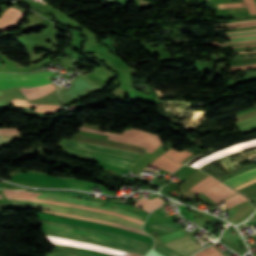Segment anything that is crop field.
I'll return each mask as SVG.
<instances>
[{
  "label": "crop field",
  "instance_id": "crop-field-16",
  "mask_svg": "<svg viewBox=\"0 0 256 256\" xmlns=\"http://www.w3.org/2000/svg\"><path fill=\"white\" fill-rule=\"evenodd\" d=\"M162 203H163V200L158 197L152 200H148L142 197L138 202L134 204V206L142 207L143 210L152 212L156 208H158L160 205H162Z\"/></svg>",
  "mask_w": 256,
  "mask_h": 256
},
{
  "label": "crop field",
  "instance_id": "crop-field-26",
  "mask_svg": "<svg viewBox=\"0 0 256 256\" xmlns=\"http://www.w3.org/2000/svg\"><path fill=\"white\" fill-rule=\"evenodd\" d=\"M2 141H8V140H21V135H1Z\"/></svg>",
  "mask_w": 256,
  "mask_h": 256
},
{
  "label": "crop field",
  "instance_id": "crop-field-17",
  "mask_svg": "<svg viewBox=\"0 0 256 256\" xmlns=\"http://www.w3.org/2000/svg\"><path fill=\"white\" fill-rule=\"evenodd\" d=\"M235 124L239 129L233 131L244 133L246 131L256 129V117L238 121L235 122Z\"/></svg>",
  "mask_w": 256,
  "mask_h": 256
},
{
  "label": "crop field",
  "instance_id": "crop-field-40",
  "mask_svg": "<svg viewBox=\"0 0 256 256\" xmlns=\"http://www.w3.org/2000/svg\"><path fill=\"white\" fill-rule=\"evenodd\" d=\"M256 39V38H253ZM243 40H250V39H243ZM233 41H241V40H233ZM232 42V41H224L223 43Z\"/></svg>",
  "mask_w": 256,
  "mask_h": 256
},
{
  "label": "crop field",
  "instance_id": "crop-field-42",
  "mask_svg": "<svg viewBox=\"0 0 256 256\" xmlns=\"http://www.w3.org/2000/svg\"><path fill=\"white\" fill-rule=\"evenodd\" d=\"M244 46H256V45H244ZM235 47H243V46H233L231 48H235Z\"/></svg>",
  "mask_w": 256,
  "mask_h": 256
},
{
  "label": "crop field",
  "instance_id": "crop-field-11",
  "mask_svg": "<svg viewBox=\"0 0 256 256\" xmlns=\"http://www.w3.org/2000/svg\"><path fill=\"white\" fill-rule=\"evenodd\" d=\"M64 151L69 156L75 157V158L88 159V160H92V161L108 163V164L122 166V167H126V168H129L132 165V163H130V162H125V161H121V160H117V159H113V158L102 157V156L87 154V153L73 152V151H69V150H65V149H64Z\"/></svg>",
  "mask_w": 256,
  "mask_h": 256
},
{
  "label": "crop field",
  "instance_id": "crop-field-2",
  "mask_svg": "<svg viewBox=\"0 0 256 256\" xmlns=\"http://www.w3.org/2000/svg\"><path fill=\"white\" fill-rule=\"evenodd\" d=\"M53 73H0V89L20 88L22 86L41 87L51 84L49 76ZM56 89L51 84L41 88L22 87L20 90L28 99H36Z\"/></svg>",
  "mask_w": 256,
  "mask_h": 256
},
{
  "label": "crop field",
  "instance_id": "crop-field-13",
  "mask_svg": "<svg viewBox=\"0 0 256 256\" xmlns=\"http://www.w3.org/2000/svg\"><path fill=\"white\" fill-rule=\"evenodd\" d=\"M202 192L205 193L207 196H209L211 199H213L217 203L222 199L237 193L229 189L228 187H226L220 182L212 185L211 187L207 188Z\"/></svg>",
  "mask_w": 256,
  "mask_h": 256
},
{
  "label": "crop field",
  "instance_id": "crop-field-30",
  "mask_svg": "<svg viewBox=\"0 0 256 256\" xmlns=\"http://www.w3.org/2000/svg\"><path fill=\"white\" fill-rule=\"evenodd\" d=\"M54 55H55V53H54L53 55H51V56L45 58L44 60L33 64V66L37 67V66H39V65H41V64H43V63H45V62H47L48 60H50V58L54 57Z\"/></svg>",
  "mask_w": 256,
  "mask_h": 256
},
{
  "label": "crop field",
  "instance_id": "crop-field-32",
  "mask_svg": "<svg viewBox=\"0 0 256 256\" xmlns=\"http://www.w3.org/2000/svg\"><path fill=\"white\" fill-rule=\"evenodd\" d=\"M47 256H75V255H71V254H49L46 253Z\"/></svg>",
  "mask_w": 256,
  "mask_h": 256
},
{
  "label": "crop field",
  "instance_id": "crop-field-15",
  "mask_svg": "<svg viewBox=\"0 0 256 256\" xmlns=\"http://www.w3.org/2000/svg\"><path fill=\"white\" fill-rule=\"evenodd\" d=\"M43 211L50 212V213H53V214H59V215L67 216V217H72V218H78V219H85V220H90V221L101 222V223H105V224L121 227V228L130 230V231H134V232H138V233H141V234H145V232H143V231L136 230V229H133V228H130V227L118 224V223L110 222V221H104V220H100V219H92V218L81 217V216H77V215H71V214H67V213L54 212V211H48V210H43ZM145 235H147V234H145Z\"/></svg>",
  "mask_w": 256,
  "mask_h": 256
},
{
  "label": "crop field",
  "instance_id": "crop-field-24",
  "mask_svg": "<svg viewBox=\"0 0 256 256\" xmlns=\"http://www.w3.org/2000/svg\"><path fill=\"white\" fill-rule=\"evenodd\" d=\"M196 256H223L220 252H218L216 249L213 247L197 254Z\"/></svg>",
  "mask_w": 256,
  "mask_h": 256
},
{
  "label": "crop field",
  "instance_id": "crop-field-6",
  "mask_svg": "<svg viewBox=\"0 0 256 256\" xmlns=\"http://www.w3.org/2000/svg\"><path fill=\"white\" fill-rule=\"evenodd\" d=\"M61 144H65V145H69V146H73V147H81V148L98 151V152H103V153H110L112 155L127 157V158H131L133 160H137L139 157L142 156V154L124 150V149L88 144V143L68 140L65 138H63Z\"/></svg>",
  "mask_w": 256,
  "mask_h": 256
},
{
  "label": "crop field",
  "instance_id": "crop-field-48",
  "mask_svg": "<svg viewBox=\"0 0 256 256\" xmlns=\"http://www.w3.org/2000/svg\"><path fill=\"white\" fill-rule=\"evenodd\" d=\"M0 147H1V143H0Z\"/></svg>",
  "mask_w": 256,
  "mask_h": 256
},
{
  "label": "crop field",
  "instance_id": "crop-field-34",
  "mask_svg": "<svg viewBox=\"0 0 256 256\" xmlns=\"http://www.w3.org/2000/svg\"><path fill=\"white\" fill-rule=\"evenodd\" d=\"M253 26H256V24L255 25H245V26L229 27V28H243V27H253ZM229 28H220V29H229Z\"/></svg>",
  "mask_w": 256,
  "mask_h": 256
},
{
  "label": "crop field",
  "instance_id": "crop-field-12",
  "mask_svg": "<svg viewBox=\"0 0 256 256\" xmlns=\"http://www.w3.org/2000/svg\"><path fill=\"white\" fill-rule=\"evenodd\" d=\"M165 245L179 251L184 256H189L195 250L201 248L193 241V239L190 236L178 239Z\"/></svg>",
  "mask_w": 256,
  "mask_h": 256
},
{
  "label": "crop field",
  "instance_id": "crop-field-20",
  "mask_svg": "<svg viewBox=\"0 0 256 256\" xmlns=\"http://www.w3.org/2000/svg\"><path fill=\"white\" fill-rule=\"evenodd\" d=\"M149 227L157 229L159 231H162L164 233H167L169 231L175 230L179 228L180 226L171 224V223H166V224H154V225H149Z\"/></svg>",
  "mask_w": 256,
  "mask_h": 256
},
{
  "label": "crop field",
  "instance_id": "crop-field-3",
  "mask_svg": "<svg viewBox=\"0 0 256 256\" xmlns=\"http://www.w3.org/2000/svg\"><path fill=\"white\" fill-rule=\"evenodd\" d=\"M9 202L12 204V206L37 207V208H43V209H49V210H55V211L74 213V214H79V215H83V216H87V217H94V218L110 220V221L118 222V223L130 226V227L142 230L141 224L123 219L121 217H115V216H111V215L86 211V210H82V209H78V208H70V207L45 204V203H37V202H31V201L9 200Z\"/></svg>",
  "mask_w": 256,
  "mask_h": 256
},
{
  "label": "crop field",
  "instance_id": "crop-field-46",
  "mask_svg": "<svg viewBox=\"0 0 256 256\" xmlns=\"http://www.w3.org/2000/svg\"><path fill=\"white\" fill-rule=\"evenodd\" d=\"M0 199H3V197L0 195Z\"/></svg>",
  "mask_w": 256,
  "mask_h": 256
},
{
  "label": "crop field",
  "instance_id": "crop-field-41",
  "mask_svg": "<svg viewBox=\"0 0 256 256\" xmlns=\"http://www.w3.org/2000/svg\"><path fill=\"white\" fill-rule=\"evenodd\" d=\"M250 54H256V53H250ZM237 55H248V54H234V55H230V57L237 56Z\"/></svg>",
  "mask_w": 256,
  "mask_h": 256
},
{
  "label": "crop field",
  "instance_id": "crop-field-1",
  "mask_svg": "<svg viewBox=\"0 0 256 256\" xmlns=\"http://www.w3.org/2000/svg\"><path fill=\"white\" fill-rule=\"evenodd\" d=\"M42 232L48 235H55L70 238L82 242L93 243L119 250L144 255L153 245L137 240L126 238L120 235L73 226L69 224L43 222Z\"/></svg>",
  "mask_w": 256,
  "mask_h": 256
},
{
  "label": "crop field",
  "instance_id": "crop-field-37",
  "mask_svg": "<svg viewBox=\"0 0 256 256\" xmlns=\"http://www.w3.org/2000/svg\"><path fill=\"white\" fill-rule=\"evenodd\" d=\"M249 21H256V20H249ZM249 21H242V22H249ZM235 23H240V22H235ZM227 24H232V23H227ZM218 25H224V24H218ZM218 25H214V26H218Z\"/></svg>",
  "mask_w": 256,
  "mask_h": 256
},
{
  "label": "crop field",
  "instance_id": "crop-field-9",
  "mask_svg": "<svg viewBox=\"0 0 256 256\" xmlns=\"http://www.w3.org/2000/svg\"><path fill=\"white\" fill-rule=\"evenodd\" d=\"M37 198L57 200V201H63V202L78 204V205H84V206H90V207H95V208L107 209V210H111V211H114V212L129 215V216H132V217L137 218V219L141 218L139 216L133 215L131 213L125 212V211L120 210V209L113 210V209L101 207L99 205H101L103 203L90 201V200H85V199L71 198V197H65V196H60V195H55V194H42V195L38 196Z\"/></svg>",
  "mask_w": 256,
  "mask_h": 256
},
{
  "label": "crop field",
  "instance_id": "crop-field-4",
  "mask_svg": "<svg viewBox=\"0 0 256 256\" xmlns=\"http://www.w3.org/2000/svg\"><path fill=\"white\" fill-rule=\"evenodd\" d=\"M35 214L38 216L39 219L69 223V224L83 226V227H87V228L116 233V234L124 235L127 237H131V238H134L137 240H141V241L153 244V240L151 237L133 233V232L121 229V228L108 226V225H104V224H99V223H94V222H89V221H84V220L71 219V218H67V217H63V216L48 215V214H42V213H35Z\"/></svg>",
  "mask_w": 256,
  "mask_h": 256
},
{
  "label": "crop field",
  "instance_id": "crop-field-27",
  "mask_svg": "<svg viewBox=\"0 0 256 256\" xmlns=\"http://www.w3.org/2000/svg\"><path fill=\"white\" fill-rule=\"evenodd\" d=\"M220 9L232 8V7H245L243 3H233V4H220L218 5Z\"/></svg>",
  "mask_w": 256,
  "mask_h": 256
},
{
  "label": "crop field",
  "instance_id": "crop-field-25",
  "mask_svg": "<svg viewBox=\"0 0 256 256\" xmlns=\"http://www.w3.org/2000/svg\"><path fill=\"white\" fill-rule=\"evenodd\" d=\"M245 4L247 5L249 11L251 14H256V4L254 0H243Z\"/></svg>",
  "mask_w": 256,
  "mask_h": 256
},
{
  "label": "crop field",
  "instance_id": "crop-field-45",
  "mask_svg": "<svg viewBox=\"0 0 256 256\" xmlns=\"http://www.w3.org/2000/svg\"><path fill=\"white\" fill-rule=\"evenodd\" d=\"M250 56H253V55H250ZM240 57H244V56H240ZM236 58H239V57H236ZM230 59H234V58H230ZM226 60H228V59H226Z\"/></svg>",
  "mask_w": 256,
  "mask_h": 256
},
{
  "label": "crop field",
  "instance_id": "crop-field-31",
  "mask_svg": "<svg viewBox=\"0 0 256 256\" xmlns=\"http://www.w3.org/2000/svg\"><path fill=\"white\" fill-rule=\"evenodd\" d=\"M254 182H256V179L251 180V181H249V182H247V183H245V184H243V185H241V186H239V187H237V188H235V189L238 190V189H240V188H242V187H244V186H246V185L252 184V183H254Z\"/></svg>",
  "mask_w": 256,
  "mask_h": 256
},
{
  "label": "crop field",
  "instance_id": "crop-field-38",
  "mask_svg": "<svg viewBox=\"0 0 256 256\" xmlns=\"http://www.w3.org/2000/svg\"><path fill=\"white\" fill-rule=\"evenodd\" d=\"M251 67H256V66L243 67V68L234 69V70H241V69H246V68H251ZM228 71H231V70H228Z\"/></svg>",
  "mask_w": 256,
  "mask_h": 256
},
{
  "label": "crop field",
  "instance_id": "crop-field-23",
  "mask_svg": "<svg viewBox=\"0 0 256 256\" xmlns=\"http://www.w3.org/2000/svg\"><path fill=\"white\" fill-rule=\"evenodd\" d=\"M245 200H247V199H245L241 195L237 194V195H235V196H233V197H231V198H229V199H227L225 201H226V204H227V206L229 208V207H231V206H233L235 204L241 203V202H243Z\"/></svg>",
  "mask_w": 256,
  "mask_h": 256
},
{
  "label": "crop field",
  "instance_id": "crop-field-39",
  "mask_svg": "<svg viewBox=\"0 0 256 256\" xmlns=\"http://www.w3.org/2000/svg\"><path fill=\"white\" fill-rule=\"evenodd\" d=\"M256 22H251V23H247V24H254ZM240 25H245V24H240ZM232 26H237V25H232ZM221 27H229V26H221Z\"/></svg>",
  "mask_w": 256,
  "mask_h": 256
},
{
  "label": "crop field",
  "instance_id": "crop-field-33",
  "mask_svg": "<svg viewBox=\"0 0 256 256\" xmlns=\"http://www.w3.org/2000/svg\"><path fill=\"white\" fill-rule=\"evenodd\" d=\"M146 256H160V255L156 253L154 250H150Z\"/></svg>",
  "mask_w": 256,
  "mask_h": 256
},
{
  "label": "crop field",
  "instance_id": "crop-field-47",
  "mask_svg": "<svg viewBox=\"0 0 256 256\" xmlns=\"http://www.w3.org/2000/svg\"><path fill=\"white\" fill-rule=\"evenodd\" d=\"M131 256H139V255H131Z\"/></svg>",
  "mask_w": 256,
  "mask_h": 256
},
{
  "label": "crop field",
  "instance_id": "crop-field-19",
  "mask_svg": "<svg viewBox=\"0 0 256 256\" xmlns=\"http://www.w3.org/2000/svg\"><path fill=\"white\" fill-rule=\"evenodd\" d=\"M154 249L163 254L164 256H183L177 251L162 244L155 246Z\"/></svg>",
  "mask_w": 256,
  "mask_h": 256
},
{
  "label": "crop field",
  "instance_id": "crop-field-44",
  "mask_svg": "<svg viewBox=\"0 0 256 256\" xmlns=\"http://www.w3.org/2000/svg\"><path fill=\"white\" fill-rule=\"evenodd\" d=\"M249 33H254V32H249ZM241 34H246V33H241ZM231 35H237V34H231ZM219 36H226V35H219Z\"/></svg>",
  "mask_w": 256,
  "mask_h": 256
},
{
  "label": "crop field",
  "instance_id": "crop-field-36",
  "mask_svg": "<svg viewBox=\"0 0 256 256\" xmlns=\"http://www.w3.org/2000/svg\"><path fill=\"white\" fill-rule=\"evenodd\" d=\"M256 62V61H254ZM254 62H246V63H238V64H232V65H229V66H234V65H242V64H247V63H254ZM226 67V66H225Z\"/></svg>",
  "mask_w": 256,
  "mask_h": 256
},
{
  "label": "crop field",
  "instance_id": "crop-field-35",
  "mask_svg": "<svg viewBox=\"0 0 256 256\" xmlns=\"http://www.w3.org/2000/svg\"><path fill=\"white\" fill-rule=\"evenodd\" d=\"M256 29H251V30H245V31H236V32H248V31H255ZM224 33H233V32H224ZM218 34H223V33H218Z\"/></svg>",
  "mask_w": 256,
  "mask_h": 256
},
{
  "label": "crop field",
  "instance_id": "crop-field-7",
  "mask_svg": "<svg viewBox=\"0 0 256 256\" xmlns=\"http://www.w3.org/2000/svg\"><path fill=\"white\" fill-rule=\"evenodd\" d=\"M13 182H22V183H35L59 187L71 188L65 179L47 176V175H38V174H29V173H20L15 176H12Z\"/></svg>",
  "mask_w": 256,
  "mask_h": 256
},
{
  "label": "crop field",
  "instance_id": "crop-field-43",
  "mask_svg": "<svg viewBox=\"0 0 256 256\" xmlns=\"http://www.w3.org/2000/svg\"><path fill=\"white\" fill-rule=\"evenodd\" d=\"M253 37H256V36H252V37H243V38H253ZM233 39H241V38H233ZM229 40V39H227Z\"/></svg>",
  "mask_w": 256,
  "mask_h": 256
},
{
  "label": "crop field",
  "instance_id": "crop-field-28",
  "mask_svg": "<svg viewBox=\"0 0 256 256\" xmlns=\"http://www.w3.org/2000/svg\"><path fill=\"white\" fill-rule=\"evenodd\" d=\"M1 134H19L17 129H0Z\"/></svg>",
  "mask_w": 256,
  "mask_h": 256
},
{
  "label": "crop field",
  "instance_id": "crop-field-5",
  "mask_svg": "<svg viewBox=\"0 0 256 256\" xmlns=\"http://www.w3.org/2000/svg\"><path fill=\"white\" fill-rule=\"evenodd\" d=\"M3 191H4L7 199H23V200L46 202V203L69 205V206H73V207H78V208H83V209H88V210H94V211H100V212H104V213H108V214H112V215H116V216H121V217H124L126 219H129V220L141 223V224L144 223L141 220L133 219L131 217L124 216V215L117 214V213H113V212L106 211V210L89 208V207H84V206H78V205H73V204H68V203H63V202H57V201L35 199L39 194H41V193H38V192H30V191H26V190H15V191L3 190Z\"/></svg>",
  "mask_w": 256,
  "mask_h": 256
},
{
  "label": "crop field",
  "instance_id": "crop-field-29",
  "mask_svg": "<svg viewBox=\"0 0 256 256\" xmlns=\"http://www.w3.org/2000/svg\"><path fill=\"white\" fill-rule=\"evenodd\" d=\"M243 42H256V40L243 41ZM243 42H235V43H243ZM235 43H228V44H235ZM202 44H210V45H216V46H220L221 45V44H218L217 42L202 43ZM224 45H227V44H224Z\"/></svg>",
  "mask_w": 256,
  "mask_h": 256
},
{
  "label": "crop field",
  "instance_id": "crop-field-8",
  "mask_svg": "<svg viewBox=\"0 0 256 256\" xmlns=\"http://www.w3.org/2000/svg\"><path fill=\"white\" fill-rule=\"evenodd\" d=\"M46 236L50 240V242L54 243V244L70 245V246L88 248V249L101 251V252H104V253H111V254L119 255V256H126V255L133 254V253L123 252V251H119V250H115V249H111V248H106V247H102V246H97V245H93V244L82 243V242H78V241H74V240H70V239L48 236V235H46Z\"/></svg>",
  "mask_w": 256,
  "mask_h": 256
},
{
  "label": "crop field",
  "instance_id": "crop-field-14",
  "mask_svg": "<svg viewBox=\"0 0 256 256\" xmlns=\"http://www.w3.org/2000/svg\"><path fill=\"white\" fill-rule=\"evenodd\" d=\"M254 178H256V167L245 172H242L240 174L231 176L222 182L235 188L238 185Z\"/></svg>",
  "mask_w": 256,
  "mask_h": 256
},
{
  "label": "crop field",
  "instance_id": "crop-field-10",
  "mask_svg": "<svg viewBox=\"0 0 256 256\" xmlns=\"http://www.w3.org/2000/svg\"><path fill=\"white\" fill-rule=\"evenodd\" d=\"M254 145H256V140L242 142V143H239L237 145H234V146H231L229 148H226V149H223L221 151H218L216 153L210 154V155H208V156L198 160L197 162H195L191 166L199 168L201 165L206 164V163H208L210 161H213V160H215L217 158L229 155V154H231L233 152H236L238 150L245 149V148H248V147H251V146H254Z\"/></svg>",
  "mask_w": 256,
  "mask_h": 256
},
{
  "label": "crop field",
  "instance_id": "crop-field-22",
  "mask_svg": "<svg viewBox=\"0 0 256 256\" xmlns=\"http://www.w3.org/2000/svg\"><path fill=\"white\" fill-rule=\"evenodd\" d=\"M182 236H185V233L183 231L179 230V231H176V232L171 233V234L163 235L159 238L161 239V241L163 243H165L169 240H173V239H176V238H179V237H182Z\"/></svg>",
  "mask_w": 256,
  "mask_h": 256
},
{
  "label": "crop field",
  "instance_id": "crop-field-18",
  "mask_svg": "<svg viewBox=\"0 0 256 256\" xmlns=\"http://www.w3.org/2000/svg\"><path fill=\"white\" fill-rule=\"evenodd\" d=\"M0 58H2V60H3V61H0V71L29 72L27 67H24V68L14 67V64H16V63L6 59L5 56L0 55ZM1 62H4L5 64H1Z\"/></svg>",
  "mask_w": 256,
  "mask_h": 256
},
{
  "label": "crop field",
  "instance_id": "crop-field-21",
  "mask_svg": "<svg viewBox=\"0 0 256 256\" xmlns=\"http://www.w3.org/2000/svg\"><path fill=\"white\" fill-rule=\"evenodd\" d=\"M60 108L58 105H44V104H40L35 111H42V112H46V113H53L56 111H59Z\"/></svg>",
  "mask_w": 256,
  "mask_h": 256
}]
</instances>
